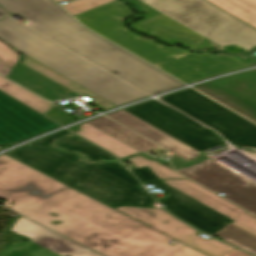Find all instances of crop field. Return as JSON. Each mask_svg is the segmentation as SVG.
Instances as JSON below:
<instances>
[{
    "mask_svg": "<svg viewBox=\"0 0 256 256\" xmlns=\"http://www.w3.org/2000/svg\"><path fill=\"white\" fill-rule=\"evenodd\" d=\"M131 171L144 185L151 184L169 195L158 200L166 206L165 210L211 236L233 221L161 183L160 177L148 166Z\"/></svg>",
    "mask_w": 256,
    "mask_h": 256,
    "instance_id": "9",
    "label": "crop field"
},
{
    "mask_svg": "<svg viewBox=\"0 0 256 256\" xmlns=\"http://www.w3.org/2000/svg\"><path fill=\"white\" fill-rule=\"evenodd\" d=\"M66 150H76L80 151L88 156L90 161H95L98 159H105V160H114L116 159L113 155L97 148L96 146L90 144L89 142L76 137H67L56 145Z\"/></svg>",
    "mask_w": 256,
    "mask_h": 256,
    "instance_id": "25",
    "label": "crop field"
},
{
    "mask_svg": "<svg viewBox=\"0 0 256 256\" xmlns=\"http://www.w3.org/2000/svg\"><path fill=\"white\" fill-rule=\"evenodd\" d=\"M107 116L135 130L136 132L140 133L146 138L152 140L153 142L157 143L158 145L162 146L163 148L169 150L170 152L178 155L179 157L187 161L200 155V153L183 145L182 143L176 141L175 139L160 132L159 130L153 128L152 126L146 124L145 122L139 120L138 118L130 115L129 113L123 110L109 114Z\"/></svg>",
    "mask_w": 256,
    "mask_h": 256,
    "instance_id": "17",
    "label": "crop field"
},
{
    "mask_svg": "<svg viewBox=\"0 0 256 256\" xmlns=\"http://www.w3.org/2000/svg\"><path fill=\"white\" fill-rule=\"evenodd\" d=\"M224 256H249L237 249L232 250L231 252H229L228 254L224 255Z\"/></svg>",
    "mask_w": 256,
    "mask_h": 256,
    "instance_id": "33",
    "label": "crop field"
},
{
    "mask_svg": "<svg viewBox=\"0 0 256 256\" xmlns=\"http://www.w3.org/2000/svg\"><path fill=\"white\" fill-rule=\"evenodd\" d=\"M67 133H70L69 131L65 130V131H61L59 133H56L52 136H49L47 138H44L42 140H39V141H36L34 143H31V144H28V145H38V146H50L51 145V142L53 139L57 138V137H60L62 135H65Z\"/></svg>",
    "mask_w": 256,
    "mask_h": 256,
    "instance_id": "30",
    "label": "crop field"
},
{
    "mask_svg": "<svg viewBox=\"0 0 256 256\" xmlns=\"http://www.w3.org/2000/svg\"><path fill=\"white\" fill-rule=\"evenodd\" d=\"M113 0H75L63 7L73 16Z\"/></svg>",
    "mask_w": 256,
    "mask_h": 256,
    "instance_id": "26",
    "label": "crop field"
},
{
    "mask_svg": "<svg viewBox=\"0 0 256 256\" xmlns=\"http://www.w3.org/2000/svg\"><path fill=\"white\" fill-rule=\"evenodd\" d=\"M59 127L0 91V145L16 144Z\"/></svg>",
    "mask_w": 256,
    "mask_h": 256,
    "instance_id": "14",
    "label": "crop field"
},
{
    "mask_svg": "<svg viewBox=\"0 0 256 256\" xmlns=\"http://www.w3.org/2000/svg\"><path fill=\"white\" fill-rule=\"evenodd\" d=\"M163 183L233 219L232 224L256 235V219L246 215L247 211L228 202L189 179L164 180Z\"/></svg>",
    "mask_w": 256,
    "mask_h": 256,
    "instance_id": "16",
    "label": "crop field"
},
{
    "mask_svg": "<svg viewBox=\"0 0 256 256\" xmlns=\"http://www.w3.org/2000/svg\"><path fill=\"white\" fill-rule=\"evenodd\" d=\"M132 3V6L142 10L145 14H146V17L134 24H132V28L136 31H139V32H142V33H145V34H149V35H153L155 38L163 41V42H167V43H172V44H175V43H178V44H182L186 47H190V48H193V49H197V50H200V49H204V48H207L209 46H211V44L208 42L207 39L193 45L191 43H189L188 41L184 40V39H177V38H171L159 31H153V30H148L140 25H138L137 23L159 13L158 11L152 9L151 7L145 5L144 3L138 1V0H132L130 1ZM160 14V13H159Z\"/></svg>",
    "mask_w": 256,
    "mask_h": 256,
    "instance_id": "23",
    "label": "crop field"
},
{
    "mask_svg": "<svg viewBox=\"0 0 256 256\" xmlns=\"http://www.w3.org/2000/svg\"><path fill=\"white\" fill-rule=\"evenodd\" d=\"M256 28V0H207Z\"/></svg>",
    "mask_w": 256,
    "mask_h": 256,
    "instance_id": "21",
    "label": "crop field"
},
{
    "mask_svg": "<svg viewBox=\"0 0 256 256\" xmlns=\"http://www.w3.org/2000/svg\"><path fill=\"white\" fill-rule=\"evenodd\" d=\"M56 1H66V0H56Z\"/></svg>",
    "mask_w": 256,
    "mask_h": 256,
    "instance_id": "37",
    "label": "crop field"
},
{
    "mask_svg": "<svg viewBox=\"0 0 256 256\" xmlns=\"http://www.w3.org/2000/svg\"><path fill=\"white\" fill-rule=\"evenodd\" d=\"M46 116L54 119L62 125L71 122L69 117L55 106L47 112Z\"/></svg>",
    "mask_w": 256,
    "mask_h": 256,
    "instance_id": "29",
    "label": "crop field"
},
{
    "mask_svg": "<svg viewBox=\"0 0 256 256\" xmlns=\"http://www.w3.org/2000/svg\"><path fill=\"white\" fill-rule=\"evenodd\" d=\"M246 214H248V215H250V216L256 218V216H254V215H252V214H250V213H248V212H247Z\"/></svg>",
    "mask_w": 256,
    "mask_h": 256,
    "instance_id": "36",
    "label": "crop field"
},
{
    "mask_svg": "<svg viewBox=\"0 0 256 256\" xmlns=\"http://www.w3.org/2000/svg\"><path fill=\"white\" fill-rule=\"evenodd\" d=\"M215 235L223 238L226 242L236 247H239L256 256V237L255 236L231 224Z\"/></svg>",
    "mask_w": 256,
    "mask_h": 256,
    "instance_id": "24",
    "label": "crop field"
},
{
    "mask_svg": "<svg viewBox=\"0 0 256 256\" xmlns=\"http://www.w3.org/2000/svg\"><path fill=\"white\" fill-rule=\"evenodd\" d=\"M77 134L105 148L118 158L139 153L86 123L80 125V131Z\"/></svg>",
    "mask_w": 256,
    "mask_h": 256,
    "instance_id": "20",
    "label": "crop field"
},
{
    "mask_svg": "<svg viewBox=\"0 0 256 256\" xmlns=\"http://www.w3.org/2000/svg\"><path fill=\"white\" fill-rule=\"evenodd\" d=\"M8 154L110 206L150 207L155 203L119 163L90 166L78 162L73 153L42 147L20 148Z\"/></svg>",
    "mask_w": 256,
    "mask_h": 256,
    "instance_id": "4",
    "label": "crop field"
},
{
    "mask_svg": "<svg viewBox=\"0 0 256 256\" xmlns=\"http://www.w3.org/2000/svg\"><path fill=\"white\" fill-rule=\"evenodd\" d=\"M119 0L75 16L82 24L188 84L193 81L250 66L231 56L192 54L164 47L128 32L122 22L132 15Z\"/></svg>",
    "mask_w": 256,
    "mask_h": 256,
    "instance_id": "3",
    "label": "crop field"
},
{
    "mask_svg": "<svg viewBox=\"0 0 256 256\" xmlns=\"http://www.w3.org/2000/svg\"><path fill=\"white\" fill-rule=\"evenodd\" d=\"M6 16H8V14H7L4 10H2V9L0 8V19L4 18V17H6Z\"/></svg>",
    "mask_w": 256,
    "mask_h": 256,
    "instance_id": "34",
    "label": "crop field"
},
{
    "mask_svg": "<svg viewBox=\"0 0 256 256\" xmlns=\"http://www.w3.org/2000/svg\"><path fill=\"white\" fill-rule=\"evenodd\" d=\"M10 79L50 100L71 98L85 94L94 99V103L105 110L116 107L27 56L24 57L23 62Z\"/></svg>",
    "mask_w": 256,
    "mask_h": 256,
    "instance_id": "11",
    "label": "crop field"
},
{
    "mask_svg": "<svg viewBox=\"0 0 256 256\" xmlns=\"http://www.w3.org/2000/svg\"><path fill=\"white\" fill-rule=\"evenodd\" d=\"M0 60L13 69L19 60V53L0 43Z\"/></svg>",
    "mask_w": 256,
    "mask_h": 256,
    "instance_id": "28",
    "label": "crop field"
},
{
    "mask_svg": "<svg viewBox=\"0 0 256 256\" xmlns=\"http://www.w3.org/2000/svg\"><path fill=\"white\" fill-rule=\"evenodd\" d=\"M0 5L54 41L151 95L183 85L88 31L51 0H0Z\"/></svg>",
    "mask_w": 256,
    "mask_h": 256,
    "instance_id": "2",
    "label": "crop field"
},
{
    "mask_svg": "<svg viewBox=\"0 0 256 256\" xmlns=\"http://www.w3.org/2000/svg\"><path fill=\"white\" fill-rule=\"evenodd\" d=\"M87 123L140 152L149 151L158 147L155 144L149 142L148 140L140 137L139 135L110 121L104 116Z\"/></svg>",
    "mask_w": 256,
    "mask_h": 256,
    "instance_id": "18",
    "label": "crop field"
},
{
    "mask_svg": "<svg viewBox=\"0 0 256 256\" xmlns=\"http://www.w3.org/2000/svg\"><path fill=\"white\" fill-rule=\"evenodd\" d=\"M0 39L117 106L148 96L12 18L0 21Z\"/></svg>",
    "mask_w": 256,
    "mask_h": 256,
    "instance_id": "5",
    "label": "crop field"
},
{
    "mask_svg": "<svg viewBox=\"0 0 256 256\" xmlns=\"http://www.w3.org/2000/svg\"><path fill=\"white\" fill-rule=\"evenodd\" d=\"M115 209L155 228L156 230L172 238L183 242L184 244L208 256H222L234 249L213 238L207 240L195 235L197 231L171 217L161 209L132 207H118Z\"/></svg>",
    "mask_w": 256,
    "mask_h": 256,
    "instance_id": "13",
    "label": "crop field"
},
{
    "mask_svg": "<svg viewBox=\"0 0 256 256\" xmlns=\"http://www.w3.org/2000/svg\"><path fill=\"white\" fill-rule=\"evenodd\" d=\"M11 231L31 238L28 243L15 244L0 256H100L23 217Z\"/></svg>",
    "mask_w": 256,
    "mask_h": 256,
    "instance_id": "12",
    "label": "crop field"
},
{
    "mask_svg": "<svg viewBox=\"0 0 256 256\" xmlns=\"http://www.w3.org/2000/svg\"><path fill=\"white\" fill-rule=\"evenodd\" d=\"M124 110L198 152L221 145L223 141L209 129L156 100Z\"/></svg>",
    "mask_w": 256,
    "mask_h": 256,
    "instance_id": "8",
    "label": "crop field"
},
{
    "mask_svg": "<svg viewBox=\"0 0 256 256\" xmlns=\"http://www.w3.org/2000/svg\"><path fill=\"white\" fill-rule=\"evenodd\" d=\"M70 130H72L74 132V131H76L78 129H77V126H76V127L70 128Z\"/></svg>",
    "mask_w": 256,
    "mask_h": 256,
    "instance_id": "35",
    "label": "crop field"
},
{
    "mask_svg": "<svg viewBox=\"0 0 256 256\" xmlns=\"http://www.w3.org/2000/svg\"><path fill=\"white\" fill-rule=\"evenodd\" d=\"M139 24L148 29L159 30L171 37L184 38L193 44L205 39L161 13Z\"/></svg>",
    "mask_w": 256,
    "mask_h": 256,
    "instance_id": "19",
    "label": "crop field"
},
{
    "mask_svg": "<svg viewBox=\"0 0 256 256\" xmlns=\"http://www.w3.org/2000/svg\"><path fill=\"white\" fill-rule=\"evenodd\" d=\"M0 90L22 102L40 114H44L52 104L31 94L16 84L0 76Z\"/></svg>",
    "mask_w": 256,
    "mask_h": 256,
    "instance_id": "22",
    "label": "crop field"
},
{
    "mask_svg": "<svg viewBox=\"0 0 256 256\" xmlns=\"http://www.w3.org/2000/svg\"><path fill=\"white\" fill-rule=\"evenodd\" d=\"M230 52L256 46V31L204 0H140Z\"/></svg>",
    "mask_w": 256,
    "mask_h": 256,
    "instance_id": "6",
    "label": "crop field"
},
{
    "mask_svg": "<svg viewBox=\"0 0 256 256\" xmlns=\"http://www.w3.org/2000/svg\"><path fill=\"white\" fill-rule=\"evenodd\" d=\"M0 197L8 200L2 205L106 256H170L184 246L4 155Z\"/></svg>",
    "mask_w": 256,
    "mask_h": 256,
    "instance_id": "1",
    "label": "crop field"
},
{
    "mask_svg": "<svg viewBox=\"0 0 256 256\" xmlns=\"http://www.w3.org/2000/svg\"><path fill=\"white\" fill-rule=\"evenodd\" d=\"M171 256H204V255L184 246L183 248H181L179 251H177Z\"/></svg>",
    "mask_w": 256,
    "mask_h": 256,
    "instance_id": "31",
    "label": "crop field"
},
{
    "mask_svg": "<svg viewBox=\"0 0 256 256\" xmlns=\"http://www.w3.org/2000/svg\"><path fill=\"white\" fill-rule=\"evenodd\" d=\"M160 99L217 130L227 141L256 149V125L194 90H185Z\"/></svg>",
    "mask_w": 256,
    "mask_h": 256,
    "instance_id": "7",
    "label": "crop field"
},
{
    "mask_svg": "<svg viewBox=\"0 0 256 256\" xmlns=\"http://www.w3.org/2000/svg\"><path fill=\"white\" fill-rule=\"evenodd\" d=\"M12 69H10L8 66H6L4 63L0 61V74L7 77L8 74L11 72Z\"/></svg>",
    "mask_w": 256,
    "mask_h": 256,
    "instance_id": "32",
    "label": "crop field"
},
{
    "mask_svg": "<svg viewBox=\"0 0 256 256\" xmlns=\"http://www.w3.org/2000/svg\"><path fill=\"white\" fill-rule=\"evenodd\" d=\"M178 172L256 214V184L208 158Z\"/></svg>",
    "mask_w": 256,
    "mask_h": 256,
    "instance_id": "10",
    "label": "crop field"
},
{
    "mask_svg": "<svg viewBox=\"0 0 256 256\" xmlns=\"http://www.w3.org/2000/svg\"><path fill=\"white\" fill-rule=\"evenodd\" d=\"M137 167H142L148 165L153 171H155L161 178H174V177H182L175 172L165 168L159 163L149 160L143 156L132 158Z\"/></svg>",
    "mask_w": 256,
    "mask_h": 256,
    "instance_id": "27",
    "label": "crop field"
},
{
    "mask_svg": "<svg viewBox=\"0 0 256 256\" xmlns=\"http://www.w3.org/2000/svg\"><path fill=\"white\" fill-rule=\"evenodd\" d=\"M194 88L256 123V70Z\"/></svg>",
    "mask_w": 256,
    "mask_h": 256,
    "instance_id": "15",
    "label": "crop field"
}]
</instances>
